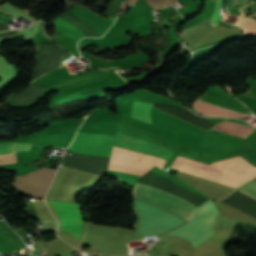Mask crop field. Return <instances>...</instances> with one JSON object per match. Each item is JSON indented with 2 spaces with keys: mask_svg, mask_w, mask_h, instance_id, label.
Returning <instances> with one entry per match:
<instances>
[{
  "mask_svg": "<svg viewBox=\"0 0 256 256\" xmlns=\"http://www.w3.org/2000/svg\"><path fill=\"white\" fill-rule=\"evenodd\" d=\"M113 146L165 160L171 158L173 155V151L170 149L146 141H142L118 132L116 133V138ZM114 147L108 167L110 169L142 176L147 171L152 169L154 165L162 168L165 162V160L141 155L138 153Z\"/></svg>",
  "mask_w": 256,
  "mask_h": 256,
  "instance_id": "8a807250",
  "label": "crop field"
},
{
  "mask_svg": "<svg viewBox=\"0 0 256 256\" xmlns=\"http://www.w3.org/2000/svg\"><path fill=\"white\" fill-rule=\"evenodd\" d=\"M217 213L212 201L209 200L197 210L195 217L189 224L169 234L182 236L190 240L192 245L202 242L212 234L214 218Z\"/></svg>",
  "mask_w": 256,
  "mask_h": 256,
  "instance_id": "ac0d7876",
  "label": "crop field"
},
{
  "mask_svg": "<svg viewBox=\"0 0 256 256\" xmlns=\"http://www.w3.org/2000/svg\"><path fill=\"white\" fill-rule=\"evenodd\" d=\"M133 196L164 206L188 219L189 221L197 208L193 204L167 191L159 190L139 183H137L133 189Z\"/></svg>",
  "mask_w": 256,
  "mask_h": 256,
  "instance_id": "34b2d1b8",
  "label": "crop field"
},
{
  "mask_svg": "<svg viewBox=\"0 0 256 256\" xmlns=\"http://www.w3.org/2000/svg\"><path fill=\"white\" fill-rule=\"evenodd\" d=\"M172 168L202 176L211 180H215L233 187H238L240 184L248 181L249 179L231 174L229 172L214 168L208 164L190 160L178 156Z\"/></svg>",
  "mask_w": 256,
  "mask_h": 256,
  "instance_id": "412701ff",
  "label": "crop field"
},
{
  "mask_svg": "<svg viewBox=\"0 0 256 256\" xmlns=\"http://www.w3.org/2000/svg\"><path fill=\"white\" fill-rule=\"evenodd\" d=\"M115 136L77 132L67 150L73 153L110 157Z\"/></svg>",
  "mask_w": 256,
  "mask_h": 256,
  "instance_id": "f4fd0767",
  "label": "crop field"
},
{
  "mask_svg": "<svg viewBox=\"0 0 256 256\" xmlns=\"http://www.w3.org/2000/svg\"><path fill=\"white\" fill-rule=\"evenodd\" d=\"M70 12L74 13L82 20L88 22L101 36L115 21L114 18L103 19L100 16L93 14L89 10L80 6L70 10ZM55 22L58 25V31L70 36L76 43L79 39L85 37L77 28L72 26L60 16L55 19Z\"/></svg>",
  "mask_w": 256,
  "mask_h": 256,
  "instance_id": "dd49c442",
  "label": "crop field"
},
{
  "mask_svg": "<svg viewBox=\"0 0 256 256\" xmlns=\"http://www.w3.org/2000/svg\"><path fill=\"white\" fill-rule=\"evenodd\" d=\"M49 202L54 207L62 222V229L75 237H79L83 222L81 205L67 202Z\"/></svg>",
  "mask_w": 256,
  "mask_h": 256,
  "instance_id": "e52e79f7",
  "label": "crop field"
},
{
  "mask_svg": "<svg viewBox=\"0 0 256 256\" xmlns=\"http://www.w3.org/2000/svg\"><path fill=\"white\" fill-rule=\"evenodd\" d=\"M241 140L242 138L210 129L205 133L200 147L227 153L232 151Z\"/></svg>",
  "mask_w": 256,
  "mask_h": 256,
  "instance_id": "d8731c3e",
  "label": "crop field"
},
{
  "mask_svg": "<svg viewBox=\"0 0 256 256\" xmlns=\"http://www.w3.org/2000/svg\"><path fill=\"white\" fill-rule=\"evenodd\" d=\"M199 101H203L209 104H213V105L223 107L229 110H233L239 113H243V114L247 112L244 109V107L235 99L222 95L213 90H210L205 96L201 97Z\"/></svg>",
  "mask_w": 256,
  "mask_h": 256,
  "instance_id": "5a996713",
  "label": "crop field"
},
{
  "mask_svg": "<svg viewBox=\"0 0 256 256\" xmlns=\"http://www.w3.org/2000/svg\"><path fill=\"white\" fill-rule=\"evenodd\" d=\"M31 145L16 143V142H2L0 143V154L17 152V151H27ZM18 162L14 153L0 155V165L16 163Z\"/></svg>",
  "mask_w": 256,
  "mask_h": 256,
  "instance_id": "3316defc",
  "label": "crop field"
},
{
  "mask_svg": "<svg viewBox=\"0 0 256 256\" xmlns=\"http://www.w3.org/2000/svg\"><path fill=\"white\" fill-rule=\"evenodd\" d=\"M152 106L153 104L134 101L131 116L135 119L152 123L150 119V110Z\"/></svg>",
  "mask_w": 256,
  "mask_h": 256,
  "instance_id": "28ad6ade",
  "label": "crop field"
},
{
  "mask_svg": "<svg viewBox=\"0 0 256 256\" xmlns=\"http://www.w3.org/2000/svg\"><path fill=\"white\" fill-rule=\"evenodd\" d=\"M238 191L256 199V181H252L251 183L239 189Z\"/></svg>",
  "mask_w": 256,
  "mask_h": 256,
  "instance_id": "d1516ede",
  "label": "crop field"
},
{
  "mask_svg": "<svg viewBox=\"0 0 256 256\" xmlns=\"http://www.w3.org/2000/svg\"><path fill=\"white\" fill-rule=\"evenodd\" d=\"M221 2H222V0H217V2H216V9H215V12H214V14H213V16H212V19H211V22H212L213 26H214L218 21H220V20H219V16H218V10H219V7H220V5H221Z\"/></svg>",
  "mask_w": 256,
  "mask_h": 256,
  "instance_id": "22f410ed",
  "label": "crop field"
},
{
  "mask_svg": "<svg viewBox=\"0 0 256 256\" xmlns=\"http://www.w3.org/2000/svg\"><path fill=\"white\" fill-rule=\"evenodd\" d=\"M252 15L256 16V13H254V14H252Z\"/></svg>",
  "mask_w": 256,
  "mask_h": 256,
  "instance_id": "cbeb9de0",
  "label": "crop field"
},
{
  "mask_svg": "<svg viewBox=\"0 0 256 256\" xmlns=\"http://www.w3.org/2000/svg\"><path fill=\"white\" fill-rule=\"evenodd\" d=\"M12 31H16V30H12Z\"/></svg>",
  "mask_w": 256,
  "mask_h": 256,
  "instance_id": "5142ce71",
  "label": "crop field"
}]
</instances>
